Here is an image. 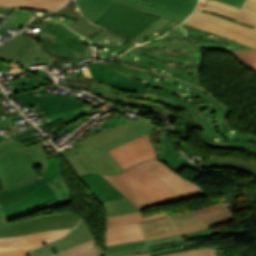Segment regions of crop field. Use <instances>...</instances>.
Here are the masks:
<instances>
[{"label": "crop field", "mask_w": 256, "mask_h": 256, "mask_svg": "<svg viewBox=\"0 0 256 256\" xmlns=\"http://www.w3.org/2000/svg\"><path fill=\"white\" fill-rule=\"evenodd\" d=\"M231 221L219 203L198 210L168 216L164 213L143 217L141 212L108 218L109 227L137 223L145 241L185 234Z\"/></svg>", "instance_id": "1"}, {"label": "crop field", "mask_w": 256, "mask_h": 256, "mask_svg": "<svg viewBox=\"0 0 256 256\" xmlns=\"http://www.w3.org/2000/svg\"><path fill=\"white\" fill-rule=\"evenodd\" d=\"M184 24H188L256 49V14L235 6L207 0Z\"/></svg>", "instance_id": "2"}, {"label": "crop field", "mask_w": 256, "mask_h": 256, "mask_svg": "<svg viewBox=\"0 0 256 256\" xmlns=\"http://www.w3.org/2000/svg\"><path fill=\"white\" fill-rule=\"evenodd\" d=\"M102 176L140 210L154 205L184 200L182 196L141 164L117 176Z\"/></svg>", "instance_id": "3"}, {"label": "crop field", "mask_w": 256, "mask_h": 256, "mask_svg": "<svg viewBox=\"0 0 256 256\" xmlns=\"http://www.w3.org/2000/svg\"><path fill=\"white\" fill-rule=\"evenodd\" d=\"M116 0H76L82 14L95 22ZM139 8L142 13L182 21L193 9L198 0H118Z\"/></svg>", "instance_id": "4"}, {"label": "crop field", "mask_w": 256, "mask_h": 256, "mask_svg": "<svg viewBox=\"0 0 256 256\" xmlns=\"http://www.w3.org/2000/svg\"><path fill=\"white\" fill-rule=\"evenodd\" d=\"M39 179L26 148L13 140L0 146V185L3 190Z\"/></svg>", "instance_id": "5"}, {"label": "crop field", "mask_w": 256, "mask_h": 256, "mask_svg": "<svg viewBox=\"0 0 256 256\" xmlns=\"http://www.w3.org/2000/svg\"><path fill=\"white\" fill-rule=\"evenodd\" d=\"M140 12L116 1L95 24L131 40L157 19Z\"/></svg>", "instance_id": "6"}, {"label": "crop field", "mask_w": 256, "mask_h": 256, "mask_svg": "<svg viewBox=\"0 0 256 256\" xmlns=\"http://www.w3.org/2000/svg\"><path fill=\"white\" fill-rule=\"evenodd\" d=\"M34 209L6 218L0 213V237L19 236L49 229L69 228L82 218L75 213H59L8 224L7 220L34 213Z\"/></svg>", "instance_id": "7"}, {"label": "crop field", "mask_w": 256, "mask_h": 256, "mask_svg": "<svg viewBox=\"0 0 256 256\" xmlns=\"http://www.w3.org/2000/svg\"><path fill=\"white\" fill-rule=\"evenodd\" d=\"M64 157L77 175L86 171L107 175H115L124 171L108 152L95 157L83 145Z\"/></svg>", "instance_id": "8"}, {"label": "crop field", "mask_w": 256, "mask_h": 256, "mask_svg": "<svg viewBox=\"0 0 256 256\" xmlns=\"http://www.w3.org/2000/svg\"><path fill=\"white\" fill-rule=\"evenodd\" d=\"M109 153L124 170L140 162L156 158L147 134L131 140Z\"/></svg>", "instance_id": "9"}, {"label": "crop field", "mask_w": 256, "mask_h": 256, "mask_svg": "<svg viewBox=\"0 0 256 256\" xmlns=\"http://www.w3.org/2000/svg\"><path fill=\"white\" fill-rule=\"evenodd\" d=\"M141 164L186 199H193L208 195L206 191L182 179L157 159L143 162Z\"/></svg>", "instance_id": "10"}, {"label": "crop field", "mask_w": 256, "mask_h": 256, "mask_svg": "<svg viewBox=\"0 0 256 256\" xmlns=\"http://www.w3.org/2000/svg\"><path fill=\"white\" fill-rule=\"evenodd\" d=\"M148 135L150 137L157 159L165 163L174 172L177 173L182 169L188 167L201 173H205L208 175L210 174L211 171L195 167L185 157H183L181 153L173 147L168 137V134L164 132V130L162 135H160V141H157V143L155 144L153 143V131L148 133Z\"/></svg>", "instance_id": "11"}, {"label": "crop field", "mask_w": 256, "mask_h": 256, "mask_svg": "<svg viewBox=\"0 0 256 256\" xmlns=\"http://www.w3.org/2000/svg\"><path fill=\"white\" fill-rule=\"evenodd\" d=\"M72 229L73 228L57 229L27 234L19 237L0 238V252L20 249L28 251L44 243L61 238Z\"/></svg>", "instance_id": "12"}, {"label": "crop field", "mask_w": 256, "mask_h": 256, "mask_svg": "<svg viewBox=\"0 0 256 256\" xmlns=\"http://www.w3.org/2000/svg\"><path fill=\"white\" fill-rule=\"evenodd\" d=\"M18 97H21L26 104L39 102L40 110H43L45 116L76 109L84 103V101L62 96H41L35 98L32 90L15 93L10 96L11 99Z\"/></svg>", "instance_id": "13"}, {"label": "crop field", "mask_w": 256, "mask_h": 256, "mask_svg": "<svg viewBox=\"0 0 256 256\" xmlns=\"http://www.w3.org/2000/svg\"><path fill=\"white\" fill-rule=\"evenodd\" d=\"M61 177H63V176H60L48 183L36 188L32 192L25 195L27 198L15 203L11 206L2 208L6 217L23 212V211L30 210L32 208H36L40 205H43L45 203H48L52 200L57 199V196L54 194V192L51 190L50 187L60 183ZM63 181H65L64 178H63Z\"/></svg>", "instance_id": "14"}, {"label": "crop field", "mask_w": 256, "mask_h": 256, "mask_svg": "<svg viewBox=\"0 0 256 256\" xmlns=\"http://www.w3.org/2000/svg\"><path fill=\"white\" fill-rule=\"evenodd\" d=\"M88 66L93 79L99 80L116 89L144 93L147 87L146 83L130 80L128 78L116 75L99 62L88 64Z\"/></svg>", "instance_id": "15"}, {"label": "crop field", "mask_w": 256, "mask_h": 256, "mask_svg": "<svg viewBox=\"0 0 256 256\" xmlns=\"http://www.w3.org/2000/svg\"><path fill=\"white\" fill-rule=\"evenodd\" d=\"M94 238L84 219L67 236L32 250L31 255L52 248L55 253ZM30 255V256H31Z\"/></svg>", "instance_id": "16"}, {"label": "crop field", "mask_w": 256, "mask_h": 256, "mask_svg": "<svg viewBox=\"0 0 256 256\" xmlns=\"http://www.w3.org/2000/svg\"><path fill=\"white\" fill-rule=\"evenodd\" d=\"M78 177L101 202L124 197L101 175L84 173Z\"/></svg>", "instance_id": "17"}, {"label": "crop field", "mask_w": 256, "mask_h": 256, "mask_svg": "<svg viewBox=\"0 0 256 256\" xmlns=\"http://www.w3.org/2000/svg\"><path fill=\"white\" fill-rule=\"evenodd\" d=\"M32 37L21 33L0 46V61L18 63L29 49Z\"/></svg>", "instance_id": "18"}, {"label": "crop field", "mask_w": 256, "mask_h": 256, "mask_svg": "<svg viewBox=\"0 0 256 256\" xmlns=\"http://www.w3.org/2000/svg\"><path fill=\"white\" fill-rule=\"evenodd\" d=\"M199 164V163H198ZM203 166L230 168L256 176V160L237 157H210L205 159Z\"/></svg>", "instance_id": "19"}, {"label": "crop field", "mask_w": 256, "mask_h": 256, "mask_svg": "<svg viewBox=\"0 0 256 256\" xmlns=\"http://www.w3.org/2000/svg\"><path fill=\"white\" fill-rule=\"evenodd\" d=\"M68 0H0V5L49 13Z\"/></svg>", "instance_id": "20"}, {"label": "crop field", "mask_w": 256, "mask_h": 256, "mask_svg": "<svg viewBox=\"0 0 256 256\" xmlns=\"http://www.w3.org/2000/svg\"><path fill=\"white\" fill-rule=\"evenodd\" d=\"M153 129H155V126L152 123H150L149 121L144 119L140 124H138L136 126V128L134 130H132L127 135L118 137L100 147H97V148L91 150L90 152L93 153L95 156H97V155L104 153L106 151H109V150L131 140V139H134L136 137L144 135V134L152 131Z\"/></svg>", "instance_id": "21"}, {"label": "crop field", "mask_w": 256, "mask_h": 256, "mask_svg": "<svg viewBox=\"0 0 256 256\" xmlns=\"http://www.w3.org/2000/svg\"><path fill=\"white\" fill-rule=\"evenodd\" d=\"M136 224L107 229L106 246L124 242L142 240Z\"/></svg>", "instance_id": "22"}, {"label": "crop field", "mask_w": 256, "mask_h": 256, "mask_svg": "<svg viewBox=\"0 0 256 256\" xmlns=\"http://www.w3.org/2000/svg\"><path fill=\"white\" fill-rule=\"evenodd\" d=\"M57 60V58L52 57L44 50V46L33 39L32 45L24 56V58L19 62L20 67L29 68L30 65L37 63H47V67H51L52 64Z\"/></svg>", "instance_id": "23"}, {"label": "crop field", "mask_w": 256, "mask_h": 256, "mask_svg": "<svg viewBox=\"0 0 256 256\" xmlns=\"http://www.w3.org/2000/svg\"><path fill=\"white\" fill-rule=\"evenodd\" d=\"M185 240L186 239L183 237V235H180V236H174V237H169L164 239L147 241L146 244H143V245L132 246V247H127V248H123V249H119L111 252H106L103 254V256H121L125 254H134V253H150L147 246L167 244V243L185 241ZM136 242H139V241H136ZM130 243H134V242H130ZM124 244H128V243H124ZM119 245H123V244H119ZM114 246H118V245H114ZM108 247H113V246H108Z\"/></svg>", "instance_id": "24"}, {"label": "crop field", "mask_w": 256, "mask_h": 256, "mask_svg": "<svg viewBox=\"0 0 256 256\" xmlns=\"http://www.w3.org/2000/svg\"><path fill=\"white\" fill-rule=\"evenodd\" d=\"M127 123H123L117 125L115 127L109 128L105 131H101L91 137L87 138L86 140L80 142L89 150L109 141L118 136L126 134Z\"/></svg>", "instance_id": "25"}, {"label": "crop field", "mask_w": 256, "mask_h": 256, "mask_svg": "<svg viewBox=\"0 0 256 256\" xmlns=\"http://www.w3.org/2000/svg\"><path fill=\"white\" fill-rule=\"evenodd\" d=\"M102 248L97 245L95 239L69 248L52 256H100Z\"/></svg>", "instance_id": "26"}, {"label": "crop field", "mask_w": 256, "mask_h": 256, "mask_svg": "<svg viewBox=\"0 0 256 256\" xmlns=\"http://www.w3.org/2000/svg\"><path fill=\"white\" fill-rule=\"evenodd\" d=\"M44 182L41 181L40 179L19 187V188H15V189H11V190H7V191H3L2 193H0V203L3 206H7L10 205L18 200H21L23 198H25V194H27L28 192H30L31 190L35 189L36 187H38L39 185L43 184Z\"/></svg>", "instance_id": "27"}, {"label": "crop field", "mask_w": 256, "mask_h": 256, "mask_svg": "<svg viewBox=\"0 0 256 256\" xmlns=\"http://www.w3.org/2000/svg\"><path fill=\"white\" fill-rule=\"evenodd\" d=\"M54 14L67 16V17H72V18L77 19L78 21L71 24V26H69V27L73 28L74 30L78 31L79 33L83 34L84 36H86L88 38L90 36L94 35L95 33L102 30V28L90 23L89 21H87L83 17L68 14V13H64V12H60V11H56V12H54Z\"/></svg>", "instance_id": "28"}, {"label": "crop field", "mask_w": 256, "mask_h": 256, "mask_svg": "<svg viewBox=\"0 0 256 256\" xmlns=\"http://www.w3.org/2000/svg\"><path fill=\"white\" fill-rule=\"evenodd\" d=\"M103 205L107 211L108 216H115L139 210L126 198L105 202Z\"/></svg>", "instance_id": "29"}, {"label": "crop field", "mask_w": 256, "mask_h": 256, "mask_svg": "<svg viewBox=\"0 0 256 256\" xmlns=\"http://www.w3.org/2000/svg\"><path fill=\"white\" fill-rule=\"evenodd\" d=\"M249 230L250 229L222 230L221 231L220 228L213 229V230H211L209 228V229H205V230H201V231L185 234L184 237L187 240H189V239L208 237V236H212V235H215V234H218V233H221V232L228 233L230 235H243V234L249 232Z\"/></svg>", "instance_id": "30"}, {"label": "crop field", "mask_w": 256, "mask_h": 256, "mask_svg": "<svg viewBox=\"0 0 256 256\" xmlns=\"http://www.w3.org/2000/svg\"><path fill=\"white\" fill-rule=\"evenodd\" d=\"M48 162L49 164L42 177L40 178L45 182L63 174L59 156L53 158Z\"/></svg>", "instance_id": "31"}, {"label": "crop field", "mask_w": 256, "mask_h": 256, "mask_svg": "<svg viewBox=\"0 0 256 256\" xmlns=\"http://www.w3.org/2000/svg\"><path fill=\"white\" fill-rule=\"evenodd\" d=\"M126 256H150V254H135ZM160 256H215V253L213 249L210 248H199Z\"/></svg>", "instance_id": "32"}, {"label": "crop field", "mask_w": 256, "mask_h": 256, "mask_svg": "<svg viewBox=\"0 0 256 256\" xmlns=\"http://www.w3.org/2000/svg\"><path fill=\"white\" fill-rule=\"evenodd\" d=\"M238 61L256 72V50L231 52Z\"/></svg>", "instance_id": "33"}, {"label": "crop field", "mask_w": 256, "mask_h": 256, "mask_svg": "<svg viewBox=\"0 0 256 256\" xmlns=\"http://www.w3.org/2000/svg\"><path fill=\"white\" fill-rule=\"evenodd\" d=\"M27 149H28L35 165L36 166H41L42 171H43L44 168H45V165L47 163V160H46V157H45V153H44L42 144L39 143V144L30 146Z\"/></svg>", "instance_id": "34"}, {"label": "crop field", "mask_w": 256, "mask_h": 256, "mask_svg": "<svg viewBox=\"0 0 256 256\" xmlns=\"http://www.w3.org/2000/svg\"><path fill=\"white\" fill-rule=\"evenodd\" d=\"M169 20H165V19H161L158 18L153 24H151L147 29H145L142 33H140L138 36H136L134 39H132V41L136 42L142 38H144L145 36L153 33L154 31H156L158 28H160L162 25H164L165 23H167Z\"/></svg>", "instance_id": "35"}, {"label": "crop field", "mask_w": 256, "mask_h": 256, "mask_svg": "<svg viewBox=\"0 0 256 256\" xmlns=\"http://www.w3.org/2000/svg\"><path fill=\"white\" fill-rule=\"evenodd\" d=\"M23 82L12 86L13 89H15V91H20V90H25L29 87H38L37 84L35 83V81L32 79V77L26 78V79H22ZM29 81L28 84H26L25 82Z\"/></svg>", "instance_id": "36"}, {"label": "crop field", "mask_w": 256, "mask_h": 256, "mask_svg": "<svg viewBox=\"0 0 256 256\" xmlns=\"http://www.w3.org/2000/svg\"><path fill=\"white\" fill-rule=\"evenodd\" d=\"M38 77L40 78L43 85L47 84V86L54 84L53 79L50 77V75L47 72L40 71L37 72Z\"/></svg>", "instance_id": "37"}, {"label": "crop field", "mask_w": 256, "mask_h": 256, "mask_svg": "<svg viewBox=\"0 0 256 256\" xmlns=\"http://www.w3.org/2000/svg\"><path fill=\"white\" fill-rule=\"evenodd\" d=\"M123 122H125V118H123V119H114V120L105 122L104 124L101 125L102 127H100V128L102 130H105L109 127H112L114 125H117V124H120V123H123Z\"/></svg>", "instance_id": "38"}, {"label": "crop field", "mask_w": 256, "mask_h": 256, "mask_svg": "<svg viewBox=\"0 0 256 256\" xmlns=\"http://www.w3.org/2000/svg\"><path fill=\"white\" fill-rule=\"evenodd\" d=\"M30 251L25 252L24 250L20 251H11V252H2L0 256H28Z\"/></svg>", "instance_id": "39"}, {"label": "crop field", "mask_w": 256, "mask_h": 256, "mask_svg": "<svg viewBox=\"0 0 256 256\" xmlns=\"http://www.w3.org/2000/svg\"><path fill=\"white\" fill-rule=\"evenodd\" d=\"M143 119L142 118H137L136 120H133V119H128L126 118V122H128V129H127V133L129 131H131L133 128H135V126L141 122Z\"/></svg>", "instance_id": "40"}, {"label": "crop field", "mask_w": 256, "mask_h": 256, "mask_svg": "<svg viewBox=\"0 0 256 256\" xmlns=\"http://www.w3.org/2000/svg\"><path fill=\"white\" fill-rule=\"evenodd\" d=\"M179 245H185V243L177 242V243H172V244H167V245L151 246V247H149V249L155 250V249H161V248H167V247H173V246H179Z\"/></svg>", "instance_id": "41"}, {"label": "crop field", "mask_w": 256, "mask_h": 256, "mask_svg": "<svg viewBox=\"0 0 256 256\" xmlns=\"http://www.w3.org/2000/svg\"><path fill=\"white\" fill-rule=\"evenodd\" d=\"M245 9L256 12V0H247L245 3Z\"/></svg>", "instance_id": "42"}, {"label": "crop field", "mask_w": 256, "mask_h": 256, "mask_svg": "<svg viewBox=\"0 0 256 256\" xmlns=\"http://www.w3.org/2000/svg\"><path fill=\"white\" fill-rule=\"evenodd\" d=\"M217 1L232 4V5L238 6L240 8H242V4L244 2V0H217Z\"/></svg>", "instance_id": "43"}, {"label": "crop field", "mask_w": 256, "mask_h": 256, "mask_svg": "<svg viewBox=\"0 0 256 256\" xmlns=\"http://www.w3.org/2000/svg\"><path fill=\"white\" fill-rule=\"evenodd\" d=\"M54 254L53 250L50 249V250H47V251H44V252H41V253H38L36 255H33V256H50Z\"/></svg>", "instance_id": "44"}, {"label": "crop field", "mask_w": 256, "mask_h": 256, "mask_svg": "<svg viewBox=\"0 0 256 256\" xmlns=\"http://www.w3.org/2000/svg\"><path fill=\"white\" fill-rule=\"evenodd\" d=\"M143 243H145V242L143 241V242H139V243H135V244H129V245H123V246H118V247H113V248H107V249H105L104 252L110 251V250H114V249H118V248H122V247H127V246H132V245L143 244Z\"/></svg>", "instance_id": "45"}, {"label": "crop field", "mask_w": 256, "mask_h": 256, "mask_svg": "<svg viewBox=\"0 0 256 256\" xmlns=\"http://www.w3.org/2000/svg\"><path fill=\"white\" fill-rule=\"evenodd\" d=\"M20 114H21L20 112H16V113L5 114L4 116L11 117V116H16V115H20ZM0 115H2L1 109H0Z\"/></svg>", "instance_id": "46"}, {"label": "crop field", "mask_w": 256, "mask_h": 256, "mask_svg": "<svg viewBox=\"0 0 256 256\" xmlns=\"http://www.w3.org/2000/svg\"><path fill=\"white\" fill-rule=\"evenodd\" d=\"M214 251H215V253H216V256H225V255L223 254V252H221L220 250H215V249H214Z\"/></svg>", "instance_id": "47"}, {"label": "crop field", "mask_w": 256, "mask_h": 256, "mask_svg": "<svg viewBox=\"0 0 256 256\" xmlns=\"http://www.w3.org/2000/svg\"><path fill=\"white\" fill-rule=\"evenodd\" d=\"M11 140H13V139L7 138V139H5V140H3V141H0V145H1V144H4V143H6V142H9V141H11Z\"/></svg>", "instance_id": "48"}, {"label": "crop field", "mask_w": 256, "mask_h": 256, "mask_svg": "<svg viewBox=\"0 0 256 256\" xmlns=\"http://www.w3.org/2000/svg\"><path fill=\"white\" fill-rule=\"evenodd\" d=\"M0 96H5L4 93H0Z\"/></svg>", "instance_id": "49"}, {"label": "crop field", "mask_w": 256, "mask_h": 256, "mask_svg": "<svg viewBox=\"0 0 256 256\" xmlns=\"http://www.w3.org/2000/svg\"><path fill=\"white\" fill-rule=\"evenodd\" d=\"M6 137H3V138H0V140H3V139H5Z\"/></svg>", "instance_id": "50"}, {"label": "crop field", "mask_w": 256, "mask_h": 256, "mask_svg": "<svg viewBox=\"0 0 256 256\" xmlns=\"http://www.w3.org/2000/svg\"><path fill=\"white\" fill-rule=\"evenodd\" d=\"M0 212H3L1 208H0Z\"/></svg>", "instance_id": "51"}, {"label": "crop field", "mask_w": 256, "mask_h": 256, "mask_svg": "<svg viewBox=\"0 0 256 256\" xmlns=\"http://www.w3.org/2000/svg\"><path fill=\"white\" fill-rule=\"evenodd\" d=\"M0 137H3V136L0 135Z\"/></svg>", "instance_id": "52"}, {"label": "crop field", "mask_w": 256, "mask_h": 256, "mask_svg": "<svg viewBox=\"0 0 256 256\" xmlns=\"http://www.w3.org/2000/svg\"><path fill=\"white\" fill-rule=\"evenodd\" d=\"M11 107V106H10ZM3 108H5V107H3Z\"/></svg>", "instance_id": "53"}, {"label": "crop field", "mask_w": 256, "mask_h": 256, "mask_svg": "<svg viewBox=\"0 0 256 256\" xmlns=\"http://www.w3.org/2000/svg\"><path fill=\"white\" fill-rule=\"evenodd\" d=\"M0 207H1V205H0Z\"/></svg>", "instance_id": "54"}]
</instances>
